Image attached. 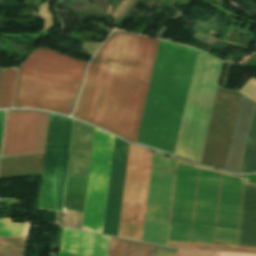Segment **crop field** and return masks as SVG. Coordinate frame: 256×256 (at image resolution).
<instances>
[{
	"mask_svg": "<svg viewBox=\"0 0 256 256\" xmlns=\"http://www.w3.org/2000/svg\"><path fill=\"white\" fill-rule=\"evenodd\" d=\"M222 65L198 50L175 156L200 162Z\"/></svg>",
	"mask_w": 256,
	"mask_h": 256,
	"instance_id": "5",
	"label": "crop field"
},
{
	"mask_svg": "<svg viewBox=\"0 0 256 256\" xmlns=\"http://www.w3.org/2000/svg\"><path fill=\"white\" fill-rule=\"evenodd\" d=\"M218 252H200V251H180L178 256H217ZM218 256H256V254L248 253H228V252H219Z\"/></svg>",
	"mask_w": 256,
	"mask_h": 256,
	"instance_id": "19",
	"label": "crop field"
},
{
	"mask_svg": "<svg viewBox=\"0 0 256 256\" xmlns=\"http://www.w3.org/2000/svg\"><path fill=\"white\" fill-rule=\"evenodd\" d=\"M102 43L82 42V48L87 49L90 55H94Z\"/></svg>",
	"mask_w": 256,
	"mask_h": 256,
	"instance_id": "22",
	"label": "crop field"
},
{
	"mask_svg": "<svg viewBox=\"0 0 256 256\" xmlns=\"http://www.w3.org/2000/svg\"><path fill=\"white\" fill-rule=\"evenodd\" d=\"M158 41L110 35L88 68L73 116L135 143Z\"/></svg>",
	"mask_w": 256,
	"mask_h": 256,
	"instance_id": "2",
	"label": "crop field"
},
{
	"mask_svg": "<svg viewBox=\"0 0 256 256\" xmlns=\"http://www.w3.org/2000/svg\"><path fill=\"white\" fill-rule=\"evenodd\" d=\"M16 74V70L3 69L0 89V108L11 107Z\"/></svg>",
	"mask_w": 256,
	"mask_h": 256,
	"instance_id": "15",
	"label": "crop field"
},
{
	"mask_svg": "<svg viewBox=\"0 0 256 256\" xmlns=\"http://www.w3.org/2000/svg\"><path fill=\"white\" fill-rule=\"evenodd\" d=\"M240 97L218 87L201 162L223 169Z\"/></svg>",
	"mask_w": 256,
	"mask_h": 256,
	"instance_id": "10",
	"label": "crop field"
},
{
	"mask_svg": "<svg viewBox=\"0 0 256 256\" xmlns=\"http://www.w3.org/2000/svg\"><path fill=\"white\" fill-rule=\"evenodd\" d=\"M48 113L8 110L1 158L44 154Z\"/></svg>",
	"mask_w": 256,
	"mask_h": 256,
	"instance_id": "9",
	"label": "crop field"
},
{
	"mask_svg": "<svg viewBox=\"0 0 256 256\" xmlns=\"http://www.w3.org/2000/svg\"><path fill=\"white\" fill-rule=\"evenodd\" d=\"M87 64L54 50L34 49L20 66L13 107L70 116Z\"/></svg>",
	"mask_w": 256,
	"mask_h": 256,
	"instance_id": "4",
	"label": "crop field"
},
{
	"mask_svg": "<svg viewBox=\"0 0 256 256\" xmlns=\"http://www.w3.org/2000/svg\"><path fill=\"white\" fill-rule=\"evenodd\" d=\"M175 160L154 152L142 241L164 245Z\"/></svg>",
	"mask_w": 256,
	"mask_h": 256,
	"instance_id": "8",
	"label": "crop field"
},
{
	"mask_svg": "<svg viewBox=\"0 0 256 256\" xmlns=\"http://www.w3.org/2000/svg\"><path fill=\"white\" fill-rule=\"evenodd\" d=\"M49 1L50 0L45 1L38 11V16L43 20L42 31H47L54 26V19L50 12Z\"/></svg>",
	"mask_w": 256,
	"mask_h": 256,
	"instance_id": "18",
	"label": "crop field"
},
{
	"mask_svg": "<svg viewBox=\"0 0 256 256\" xmlns=\"http://www.w3.org/2000/svg\"><path fill=\"white\" fill-rule=\"evenodd\" d=\"M256 171V110L240 172Z\"/></svg>",
	"mask_w": 256,
	"mask_h": 256,
	"instance_id": "14",
	"label": "crop field"
},
{
	"mask_svg": "<svg viewBox=\"0 0 256 256\" xmlns=\"http://www.w3.org/2000/svg\"><path fill=\"white\" fill-rule=\"evenodd\" d=\"M196 52L160 39L137 144L173 155Z\"/></svg>",
	"mask_w": 256,
	"mask_h": 256,
	"instance_id": "3",
	"label": "crop field"
},
{
	"mask_svg": "<svg viewBox=\"0 0 256 256\" xmlns=\"http://www.w3.org/2000/svg\"><path fill=\"white\" fill-rule=\"evenodd\" d=\"M26 236L0 237V256H22Z\"/></svg>",
	"mask_w": 256,
	"mask_h": 256,
	"instance_id": "16",
	"label": "crop field"
},
{
	"mask_svg": "<svg viewBox=\"0 0 256 256\" xmlns=\"http://www.w3.org/2000/svg\"><path fill=\"white\" fill-rule=\"evenodd\" d=\"M153 152L130 144L118 236L141 241Z\"/></svg>",
	"mask_w": 256,
	"mask_h": 256,
	"instance_id": "6",
	"label": "crop field"
},
{
	"mask_svg": "<svg viewBox=\"0 0 256 256\" xmlns=\"http://www.w3.org/2000/svg\"><path fill=\"white\" fill-rule=\"evenodd\" d=\"M177 251L176 249L155 245L154 256H177Z\"/></svg>",
	"mask_w": 256,
	"mask_h": 256,
	"instance_id": "21",
	"label": "crop field"
},
{
	"mask_svg": "<svg viewBox=\"0 0 256 256\" xmlns=\"http://www.w3.org/2000/svg\"><path fill=\"white\" fill-rule=\"evenodd\" d=\"M114 137L95 128L82 226L102 233Z\"/></svg>",
	"mask_w": 256,
	"mask_h": 256,
	"instance_id": "7",
	"label": "crop field"
},
{
	"mask_svg": "<svg viewBox=\"0 0 256 256\" xmlns=\"http://www.w3.org/2000/svg\"><path fill=\"white\" fill-rule=\"evenodd\" d=\"M239 92L256 101V79L252 77Z\"/></svg>",
	"mask_w": 256,
	"mask_h": 256,
	"instance_id": "20",
	"label": "crop field"
},
{
	"mask_svg": "<svg viewBox=\"0 0 256 256\" xmlns=\"http://www.w3.org/2000/svg\"><path fill=\"white\" fill-rule=\"evenodd\" d=\"M44 155L1 160L0 178L41 175Z\"/></svg>",
	"mask_w": 256,
	"mask_h": 256,
	"instance_id": "12",
	"label": "crop field"
},
{
	"mask_svg": "<svg viewBox=\"0 0 256 256\" xmlns=\"http://www.w3.org/2000/svg\"><path fill=\"white\" fill-rule=\"evenodd\" d=\"M29 225L12 224L10 218H0V236L26 235Z\"/></svg>",
	"mask_w": 256,
	"mask_h": 256,
	"instance_id": "17",
	"label": "crop field"
},
{
	"mask_svg": "<svg viewBox=\"0 0 256 256\" xmlns=\"http://www.w3.org/2000/svg\"><path fill=\"white\" fill-rule=\"evenodd\" d=\"M180 163H178L177 165L176 160L173 187L176 173V165L177 173L174 187V195L172 187L173 202L171 195L172 209L170 202L171 217L169 210L170 224L168 218L169 231L167 226L168 239L167 234L166 239L167 242L189 244L199 171V168L197 167L213 171L217 170L184 163L197 166L193 167ZM205 169H201V172L199 171L200 180L198 179L199 188L198 195L196 194L197 203L195 202L196 210L191 244L213 245L222 174ZM221 173H223V178L224 174L240 177L225 172ZM228 175H225L224 185L222 178L223 192L221 186L222 199L220 194L221 206L219 202L220 214L218 210L219 221L217 218L218 228L216 226L217 235L215 234V245L237 246L245 184H242L239 178ZM240 178L243 183H246L247 187L248 182H244L242 177ZM249 184L250 188L248 185L247 194L245 187L246 201L244 195L245 208L243 203L244 215L242 211L243 222L241 219V236L239 235V246L241 247L249 188L242 248L226 246L184 245L166 242L165 245L182 249L256 252V184Z\"/></svg>",
	"mask_w": 256,
	"mask_h": 256,
	"instance_id": "1",
	"label": "crop field"
},
{
	"mask_svg": "<svg viewBox=\"0 0 256 256\" xmlns=\"http://www.w3.org/2000/svg\"><path fill=\"white\" fill-rule=\"evenodd\" d=\"M110 237L63 228L60 256H107Z\"/></svg>",
	"mask_w": 256,
	"mask_h": 256,
	"instance_id": "11",
	"label": "crop field"
},
{
	"mask_svg": "<svg viewBox=\"0 0 256 256\" xmlns=\"http://www.w3.org/2000/svg\"><path fill=\"white\" fill-rule=\"evenodd\" d=\"M154 245L111 237L108 256H153Z\"/></svg>",
	"mask_w": 256,
	"mask_h": 256,
	"instance_id": "13",
	"label": "crop field"
}]
</instances>
